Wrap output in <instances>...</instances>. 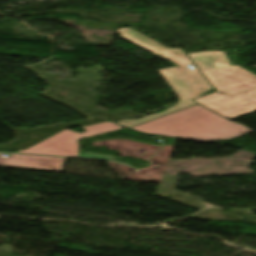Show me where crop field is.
<instances>
[{"label":"crop field","instance_id":"crop-field-1","mask_svg":"<svg viewBox=\"0 0 256 256\" xmlns=\"http://www.w3.org/2000/svg\"><path fill=\"white\" fill-rule=\"evenodd\" d=\"M121 37L140 48L160 56L177 65L176 68L158 70L172 89L179 96V101L173 107L159 114H152L139 120L126 119L117 122L123 126L131 127L194 105L191 99L204 94L212 89L210 84L198 71L195 65L187 57L182 49L166 48L156 41L129 28H122L116 31ZM191 64L194 69L190 70L187 65Z\"/></svg>","mask_w":256,"mask_h":256},{"label":"crop field","instance_id":"crop-field-2","mask_svg":"<svg viewBox=\"0 0 256 256\" xmlns=\"http://www.w3.org/2000/svg\"><path fill=\"white\" fill-rule=\"evenodd\" d=\"M131 129L194 141L213 142L249 132V128L229 121L199 105L131 127Z\"/></svg>","mask_w":256,"mask_h":256},{"label":"crop field","instance_id":"crop-field-3","mask_svg":"<svg viewBox=\"0 0 256 256\" xmlns=\"http://www.w3.org/2000/svg\"><path fill=\"white\" fill-rule=\"evenodd\" d=\"M217 92L194 100L233 120L256 111V75L239 67L202 72Z\"/></svg>","mask_w":256,"mask_h":256},{"label":"crop field","instance_id":"crop-field-4","mask_svg":"<svg viewBox=\"0 0 256 256\" xmlns=\"http://www.w3.org/2000/svg\"><path fill=\"white\" fill-rule=\"evenodd\" d=\"M122 127L113 123L105 122L93 126L84 127L86 133L78 134L72 131H62L45 141L25 150L19 151L22 153H35V154H49V155H62L82 158H94V159H108L115 160L112 157L99 156L87 153H79L78 140L84 137H91L98 134L121 129Z\"/></svg>","mask_w":256,"mask_h":256},{"label":"crop field","instance_id":"crop-field-5","mask_svg":"<svg viewBox=\"0 0 256 256\" xmlns=\"http://www.w3.org/2000/svg\"><path fill=\"white\" fill-rule=\"evenodd\" d=\"M4 154V153H0ZM13 155L12 157H1L0 165L13 166V167H25V168H38V169H53L60 170L64 159L26 156V155Z\"/></svg>","mask_w":256,"mask_h":256},{"label":"crop field","instance_id":"crop-field-6","mask_svg":"<svg viewBox=\"0 0 256 256\" xmlns=\"http://www.w3.org/2000/svg\"><path fill=\"white\" fill-rule=\"evenodd\" d=\"M188 56L200 71L230 66V62L223 51H205Z\"/></svg>","mask_w":256,"mask_h":256}]
</instances>
